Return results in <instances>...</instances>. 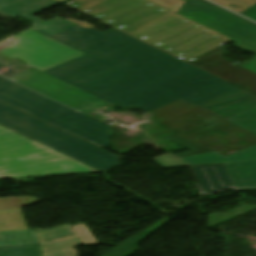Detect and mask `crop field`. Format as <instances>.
Listing matches in <instances>:
<instances>
[{"instance_id":"1","label":"crop field","mask_w":256,"mask_h":256,"mask_svg":"<svg viewBox=\"0 0 256 256\" xmlns=\"http://www.w3.org/2000/svg\"><path fill=\"white\" fill-rule=\"evenodd\" d=\"M53 0H0V13L32 21V29L84 54L44 72L123 109L149 112L181 98L195 106L237 87L117 30L83 29L59 17L32 15Z\"/></svg>"},{"instance_id":"2","label":"crop field","mask_w":256,"mask_h":256,"mask_svg":"<svg viewBox=\"0 0 256 256\" xmlns=\"http://www.w3.org/2000/svg\"><path fill=\"white\" fill-rule=\"evenodd\" d=\"M69 6L256 95V56L231 64L220 57L231 40L148 0H74Z\"/></svg>"},{"instance_id":"3","label":"crop field","mask_w":256,"mask_h":256,"mask_svg":"<svg viewBox=\"0 0 256 256\" xmlns=\"http://www.w3.org/2000/svg\"><path fill=\"white\" fill-rule=\"evenodd\" d=\"M0 101L101 148L111 144L109 139L114 132L109 126L70 110L2 77H0Z\"/></svg>"},{"instance_id":"4","label":"crop field","mask_w":256,"mask_h":256,"mask_svg":"<svg viewBox=\"0 0 256 256\" xmlns=\"http://www.w3.org/2000/svg\"><path fill=\"white\" fill-rule=\"evenodd\" d=\"M0 125L96 169L105 171L117 166L118 156L3 103H0Z\"/></svg>"},{"instance_id":"5","label":"crop field","mask_w":256,"mask_h":256,"mask_svg":"<svg viewBox=\"0 0 256 256\" xmlns=\"http://www.w3.org/2000/svg\"><path fill=\"white\" fill-rule=\"evenodd\" d=\"M65 159L71 158L0 126V179L100 172L77 161L80 169L64 170L58 163Z\"/></svg>"},{"instance_id":"6","label":"crop field","mask_w":256,"mask_h":256,"mask_svg":"<svg viewBox=\"0 0 256 256\" xmlns=\"http://www.w3.org/2000/svg\"><path fill=\"white\" fill-rule=\"evenodd\" d=\"M82 53L28 29L13 39V44L0 51V74L8 77L29 67L46 70L71 60ZM18 59L26 64L18 62Z\"/></svg>"},{"instance_id":"7","label":"crop field","mask_w":256,"mask_h":256,"mask_svg":"<svg viewBox=\"0 0 256 256\" xmlns=\"http://www.w3.org/2000/svg\"><path fill=\"white\" fill-rule=\"evenodd\" d=\"M231 40L256 50V26L201 0H150Z\"/></svg>"},{"instance_id":"8","label":"crop field","mask_w":256,"mask_h":256,"mask_svg":"<svg viewBox=\"0 0 256 256\" xmlns=\"http://www.w3.org/2000/svg\"><path fill=\"white\" fill-rule=\"evenodd\" d=\"M149 113L156 124L192 141L231 124L180 99Z\"/></svg>"},{"instance_id":"9","label":"crop field","mask_w":256,"mask_h":256,"mask_svg":"<svg viewBox=\"0 0 256 256\" xmlns=\"http://www.w3.org/2000/svg\"><path fill=\"white\" fill-rule=\"evenodd\" d=\"M76 235H71L47 242L42 241L73 234L69 225L41 231H12L0 232V246L40 244L43 256H76L77 252L71 247L81 244H97L84 225L73 227Z\"/></svg>"},{"instance_id":"10","label":"crop field","mask_w":256,"mask_h":256,"mask_svg":"<svg viewBox=\"0 0 256 256\" xmlns=\"http://www.w3.org/2000/svg\"><path fill=\"white\" fill-rule=\"evenodd\" d=\"M8 78L33 90H36L48 97H51L61 103H64L76 110L101 101V99L95 96L85 93L44 72L35 70L33 68L24 70ZM64 86H68L70 90L65 89ZM107 104L108 103L103 101L99 104L93 105L80 111L87 114Z\"/></svg>"},{"instance_id":"11","label":"crop field","mask_w":256,"mask_h":256,"mask_svg":"<svg viewBox=\"0 0 256 256\" xmlns=\"http://www.w3.org/2000/svg\"><path fill=\"white\" fill-rule=\"evenodd\" d=\"M255 106L256 96L237 88L197 107L226 120Z\"/></svg>"},{"instance_id":"12","label":"crop field","mask_w":256,"mask_h":256,"mask_svg":"<svg viewBox=\"0 0 256 256\" xmlns=\"http://www.w3.org/2000/svg\"><path fill=\"white\" fill-rule=\"evenodd\" d=\"M39 201L32 197L0 199V230L27 229L20 208Z\"/></svg>"},{"instance_id":"13","label":"crop field","mask_w":256,"mask_h":256,"mask_svg":"<svg viewBox=\"0 0 256 256\" xmlns=\"http://www.w3.org/2000/svg\"><path fill=\"white\" fill-rule=\"evenodd\" d=\"M205 194L233 188L223 165L191 167Z\"/></svg>"},{"instance_id":"14","label":"crop field","mask_w":256,"mask_h":256,"mask_svg":"<svg viewBox=\"0 0 256 256\" xmlns=\"http://www.w3.org/2000/svg\"><path fill=\"white\" fill-rule=\"evenodd\" d=\"M189 165L256 161V145L224 157L216 152L182 158Z\"/></svg>"},{"instance_id":"15","label":"crop field","mask_w":256,"mask_h":256,"mask_svg":"<svg viewBox=\"0 0 256 256\" xmlns=\"http://www.w3.org/2000/svg\"><path fill=\"white\" fill-rule=\"evenodd\" d=\"M223 165L235 187L256 186V162Z\"/></svg>"},{"instance_id":"16","label":"crop field","mask_w":256,"mask_h":256,"mask_svg":"<svg viewBox=\"0 0 256 256\" xmlns=\"http://www.w3.org/2000/svg\"><path fill=\"white\" fill-rule=\"evenodd\" d=\"M170 218H166L164 220H161L148 229L144 230L143 232L139 233L138 235L134 236L133 238L129 239L122 245L115 248L113 251L109 252L105 256H129L136 251H138V243L144 239H146L148 236H150L152 233H154L159 227H161L165 222H167Z\"/></svg>"},{"instance_id":"17","label":"crop field","mask_w":256,"mask_h":256,"mask_svg":"<svg viewBox=\"0 0 256 256\" xmlns=\"http://www.w3.org/2000/svg\"><path fill=\"white\" fill-rule=\"evenodd\" d=\"M226 121L231 122L256 135V107Z\"/></svg>"},{"instance_id":"18","label":"crop field","mask_w":256,"mask_h":256,"mask_svg":"<svg viewBox=\"0 0 256 256\" xmlns=\"http://www.w3.org/2000/svg\"><path fill=\"white\" fill-rule=\"evenodd\" d=\"M39 245L0 247V256H42Z\"/></svg>"},{"instance_id":"19","label":"crop field","mask_w":256,"mask_h":256,"mask_svg":"<svg viewBox=\"0 0 256 256\" xmlns=\"http://www.w3.org/2000/svg\"><path fill=\"white\" fill-rule=\"evenodd\" d=\"M167 139L179 144V145H182L186 148H189L191 150H193L192 152L190 153H186V154H179V155H176L180 158L182 157H185V156H189V155H195V154H200V153H206V152H212L211 150L205 148V147H202L194 142H191L179 135H176V136H172V137H167Z\"/></svg>"},{"instance_id":"20","label":"crop field","mask_w":256,"mask_h":256,"mask_svg":"<svg viewBox=\"0 0 256 256\" xmlns=\"http://www.w3.org/2000/svg\"><path fill=\"white\" fill-rule=\"evenodd\" d=\"M212 1L238 14L242 13L243 11L247 10L248 8L256 4V0H212ZM230 4L236 5L242 9L228 7V5Z\"/></svg>"},{"instance_id":"21","label":"crop field","mask_w":256,"mask_h":256,"mask_svg":"<svg viewBox=\"0 0 256 256\" xmlns=\"http://www.w3.org/2000/svg\"><path fill=\"white\" fill-rule=\"evenodd\" d=\"M162 167H177V166H187L182 160L177 159L169 154L157 157L153 159Z\"/></svg>"},{"instance_id":"22","label":"crop field","mask_w":256,"mask_h":256,"mask_svg":"<svg viewBox=\"0 0 256 256\" xmlns=\"http://www.w3.org/2000/svg\"><path fill=\"white\" fill-rule=\"evenodd\" d=\"M241 15L253 20L256 22V5L253 6L252 8L248 9L247 11H245L244 13H242Z\"/></svg>"},{"instance_id":"23","label":"crop field","mask_w":256,"mask_h":256,"mask_svg":"<svg viewBox=\"0 0 256 256\" xmlns=\"http://www.w3.org/2000/svg\"><path fill=\"white\" fill-rule=\"evenodd\" d=\"M75 162L71 160H65L60 162L59 164L64 168V169H73V168H78L74 165Z\"/></svg>"},{"instance_id":"24","label":"crop field","mask_w":256,"mask_h":256,"mask_svg":"<svg viewBox=\"0 0 256 256\" xmlns=\"http://www.w3.org/2000/svg\"><path fill=\"white\" fill-rule=\"evenodd\" d=\"M55 1H57V2L61 3V2H63V1H65V0H55Z\"/></svg>"}]
</instances>
